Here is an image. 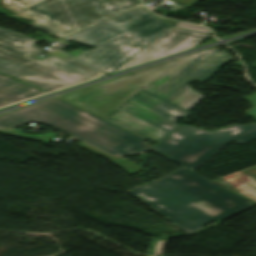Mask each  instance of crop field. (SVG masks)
<instances>
[{
  "mask_svg": "<svg viewBox=\"0 0 256 256\" xmlns=\"http://www.w3.org/2000/svg\"><path fill=\"white\" fill-rule=\"evenodd\" d=\"M129 192L189 234L250 203L184 167Z\"/></svg>",
  "mask_w": 256,
  "mask_h": 256,
  "instance_id": "1",
  "label": "crop field"
},
{
  "mask_svg": "<svg viewBox=\"0 0 256 256\" xmlns=\"http://www.w3.org/2000/svg\"><path fill=\"white\" fill-rule=\"evenodd\" d=\"M41 122L112 156L149 151L145 140L58 98L0 116V128Z\"/></svg>",
  "mask_w": 256,
  "mask_h": 256,
  "instance_id": "2",
  "label": "crop field"
},
{
  "mask_svg": "<svg viewBox=\"0 0 256 256\" xmlns=\"http://www.w3.org/2000/svg\"><path fill=\"white\" fill-rule=\"evenodd\" d=\"M170 26L139 7L63 40L94 47L75 57L107 74L120 67ZM132 44H128L129 42ZM134 44L142 46L133 47Z\"/></svg>",
  "mask_w": 256,
  "mask_h": 256,
  "instance_id": "3",
  "label": "crop field"
},
{
  "mask_svg": "<svg viewBox=\"0 0 256 256\" xmlns=\"http://www.w3.org/2000/svg\"><path fill=\"white\" fill-rule=\"evenodd\" d=\"M18 42H23L19 45ZM39 41L0 28V71L25 80L47 92L94 78L98 73L74 59L48 57L33 59L44 50Z\"/></svg>",
  "mask_w": 256,
  "mask_h": 256,
  "instance_id": "4",
  "label": "crop field"
},
{
  "mask_svg": "<svg viewBox=\"0 0 256 256\" xmlns=\"http://www.w3.org/2000/svg\"><path fill=\"white\" fill-rule=\"evenodd\" d=\"M245 99L254 106L245 114L256 120V94ZM255 138L256 125L251 124L233 125L214 133L181 125L152 150L194 171L229 141L242 144Z\"/></svg>",
  "mask_w": 256,
  "mask_h": 256,
  "instance_id": "5",
  "label": "crop field"
},
{
  "mask_svg": "<svg viewBox=\"0 0 256 256\" xmlns=\"http://www.w3.org/2000/svg\"><path fill=\"white\" fill-rule=\"evenodd\" d=\"M230 59L214 48L184 56L144 89L188 110L203 98L189 88L190 81L204 82Z\"/></svg>",
  "mask_w": 256,
  "mask_h": 256,
  "instance_id": "6",
  "label": "crop field"
},
{
  "mask_svg": "<svg viewBox=\"0 0 256 256\" xmlns=\"http://www.w3.org/2000/svg\"><path fill=\"white\" fill-rule=\"evenodd\" d=\"M192 114L142 89L107 120L157 142Z\"/></svg>",
  "mask_w": 256,
  "mask_h": 256,
  "instance_id": "7",
  "label": "crop field"
},
{
  "mask_svg": "<svg viewBox=\"0 0 256 256\" xmlns=\"http://www.w3.org/2000/svg\"><path fill=\"white\" fill-rule=\"evenodd\" d=\"M137 5L139 0H44L26 8L69 28L63 37Z\"/></svg>",
  "mask_w": 256,
  "mask_h": 256,
  "instance_id": "8",
  "label": "crop field"
},
{
  "mask_svg": "<svg viewBox=\"0 0 256 256\" xmlns=\"http://www.w3.org/2000/svg\"><path fill=\"white\" fill-rule=\"evenodd\" d=\"M178 59L139 70L98 85L74 104L106 119Z\"/></svg>",
  "mask_w": 256,
  "mask_h": 256,
  "instance_id": "9",
  "label": "crop field"
},
{
  "mask_svg": "<svg viewBox=\"0 0 256 256\" xmlns=\"http://www.w3.org/2000/svg\"><path fill=\"white\" fill-rule=\"evenodd\" d=\"M207 35L177 27H170L165 33L123 64L115 72L194 47ZM160 59V58H159Z\"/></svg>",
  "mask_w": 256,
  "mask_h": 256,
  "instance_id": "10",
  "label": "crop field"
},
{
  "mask_svg": "<svg viewBox=\"0 0 256 256\" xmlns=\"http://www.w3.org/2000/svg\"><path fill=\"white\" fill-rule=\"evenodd\" d=\"M39 1L42 0H2L1 7L11 11L21 18L30 19L33 22V27L40 28L59 37V33L68 29L50 19L24 8Z\"/></svg>",
  "mask_w": 256,
  "mask_h": 256,
  "instance_id": "11",
  "label": "crop field"
},
{
  "mask_svg": "<svg viewBox=\"0 0 256 256\" xmlns=\"http://www.w3.org/2000/svg\"><path fill=\"white\" fill-rule=\"evenodd\" d=\"M45 93L24 82L0 74V106Z\"/></svg>",
  "mask_w": 256,
  "mask_h": 256,
  "instance_id": "12",
  "label": "crop field"
},
{
  "mask_svg": "<svg viewBox=\"0 0 256 256\" xmlns=\"http://www.w3.org/2000/svg\"><path fill=\"white\" fill-rule=\"evenodd\" d=\"M220 178L231 184L227 188L256 201V179L241 171Z\"/></svg>",
  "mask_w": 256,
  "mask_h": 256,
  "instance_id": "13",
  "label": "crop field"
},
{
  "mask_svg": "<svg viewBox=\"0 0 256 256\" xmlns=\"http://www.w3.org/2000/svg\"><path fill=\"white\" fill-rule=\"evenodd\" d=\"M0 133L15 136V137H20V138H25V139H29V140H34V141H38V142H43V143H47V144H50L51 141L57 135L56 133L48 132L47 135L36 134L35 136H33V135H29V134H25V133L13 131V130H9V131L0 130Z\"/></svg>",
  "mask_w": 256,
  "mask_h": 256,
  "instance_id": "14",
  "label": "crop field"
},
{
  "mask_svg": "<svg viewBox=\"0 0 256 256\" xmlns=\"http://www.w3.org/2000/svg\"><path fill=\"white\" fill-rule=\"evenodd\" d=\"M114 164H116L117 166H119L121 169H123L124 171H126L128 174L132 175L134 173H137L138 170L136 168V166L123 161L121 158H117V159H113L111 160ZM111 162V163H112Z\"/></svg>",
  "mask_w": 256,
  "mask_h": 256,
  "instance_id": "15",
  "label": "crop field"
},
{
  "mask_svg": "<svg viewBox=\"0 0 256 256\" xmlns=\"http://www.w3.org/2000/svg\"><path fill=\"white\" fill-rule=\"evenodd\" d=\"M94 86H96V85H94ZM94 86L87 87V88H84V89H81V90H78V91H75V92H72V93H69V94H65V95H62V96H59V97L73 103L78 98H80L82 95H84L86 92H88L90 89H92Z\"/></svg>",
  "mask_w": 256,
  "mask_h": 256,
  "instance_id": "16",
  "label": "crop field"
},
{
  "mask_svg": "<svg viewBox=\"0 0 256 256\" xmlns=\"http://www.w3.org/2000/svg\"><path fill=\"white\" fill-rule=\"evenodd\" d=\"M175 26L181 27V28H185V29H189V30L198 31V32H203V33H207V34L211 33L206 28H203V27H200V26H196V25H192V24H186V23L177 22Z\"/></svg>",
  "mask_w": 256,
  "mask_h": 256,
  "instance_id": "17",
  "label": "crop field"
},
{
  "mask_svg": "<svg viewBox=\"0 0 256 256\" xmlns=\"http://www.w3.org/2000/svg\"><path fill=\"white\" fill-rule=\"evenodd\" d=\"M77 145H79V146H81V147H83V148H85V149H87V150H89V151H91V152H93L95 154H98V155H100V156H102V157H104V158H106L108 160L113 159L112 157H110V156H108V155H106V154H104V153H102V152H100V151H98V150H96V149H94V148H92V147L82 143V142L78 143Z\"/></svg>",
  "mask_w": 256,
  "mask_h": 256,
  "instance_id": "18",
  "label": "crop field"
},
{
  "mask_svg": "<svg viewBox=\"0 0 256 256\" xmlns=\"http://www.w3.org/2000/svg\"><path fill=\"white\" fill-rule=\"evenodd\" d=\"M177 1L179 3H182L188 7L192 6L194 3H196L198 0H174Z\"/></svg>",
  "mask_w": 256,
  "mask_h": 256,
  "instance_id": "19",
  "label": "crop field"
},
{
  "mask_svg": "<svg viewBox=\"0 0 256 256\" xmlns=\"http://www.w3.org/2000/svg\"><path fill=\"white\" fill-rule=\"evenodd\" d=\"M139 155L142 156L141 160L143 161V162L141 163V165L139 166L140 171H141L142 168H143V166H144V164H145V162H146V160H147V158H148V156H147L145 153H140Z\"/></svg>",
  "mask_w": 256,
  "mask_h": 256,
  "instance_id": "20",
  "label": "crop field"
},
{
  "mask_svg": "<svg viewBox=\"0 0 256 256\" xmlns=\"http://www.w3.org/2000/svg\"><path fill=\"white\" fill-rule=\"evenodd\" d=\"M246 173H248L249 175L256 178V169H250V170L246 171Z\"/></svg>",
  "mask_w": 256,
  "mask_h": 256,
  "instance_id": "21",
  "label": "crop field"
},
{
  "mask_svg": "<svg viewBox=\"0 0 256 256\" xmlns=\"http://www.w3.org/2000/svg\"><path fill=\"white\" fill-rule=\"evenodd\" d=\"M162 19V18H161ZM164 21H166L167 23L173 25L176 23V21H172V20H166V19H163Z\"/></svg>",
  "mask_w": 256,
  "mask_h": 256,
  "instance_id": "22",
  "label": "crop field"
},
{
  "mask_svg": "<svg viewBox=\"0 0 256 256\" xmlns=\"http://www.w3.org/2000/svg\"><path fill=\"white\" fill-rule=\"evenodd\" d=\"M148 1H151V0H143L144 3H145V2H148Z\"/></svg>",
  "mask_w": 256,
  "mask_h": 256,
  "instance_id": "23",
  "label": "crop field"
}]
</instances>
